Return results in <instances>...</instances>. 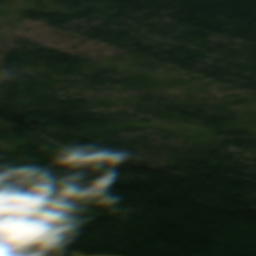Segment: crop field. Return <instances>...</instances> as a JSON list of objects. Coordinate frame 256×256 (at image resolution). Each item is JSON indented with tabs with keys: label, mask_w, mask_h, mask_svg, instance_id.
I'll return each instance as SVG.
<instances>
[{
	"label": "crop field",
	"mask_w": 256,
	"mask_h": 256,
	"mask_svg": "<svg viewBox=\"0 0 256 256\" xmlns=\"http://www.w3.org/2000/svg\"><path fill=\"white\" fill-rule=\"evenodd\" d=\"M23 227L0 222V244L17 246L22 240Z\"/></svg>",
	"instance_id": "8a807250"
},
{
	"label": "crop field",
	"mask_w": 256,
	"mask_h": 256,
	"mask_svg": "<svg viewBox=\"0 0 256 256\" xmlns=\"http://www.w3.org/2000/svg\"><path fill=\"white\" fill-rule=\"evenodd\" d=\"M11 256H37V255L33 254L30 251H25V250L15 248Z\"/></svg>",
	"instance_id": "ac0d7876"
},
{
	"label": "crop field",
	"mask_w": 256,
	"mask_h": 256,
	"mask_svg": "<svg viewBox=\"0 0 256 256\" xmlns=\"http://www.w3.org/2000/svg\"><path fill=\"white\" fill-rule=\"evenodd\" d=\"M11 253H12V250L0 247V256H10Z\"/></svg>",
	"instance_id": "34b2d1b8"
},
{
	"label": "crop field",
	"mask_w": 256,
	"mask_h": 256,
	"mask_svg": "<svg viewBox=\"0 0 256 256\" xmlns=\"http://www.w3.org/2000/svg\"><path fill=\"white\" fill-rule=\"evenodd\" d=\"M71 256H84V255L77 252H72ZM94 256H112V255H94Z\"/></svg>",
	"instance_id": "412701ff"
}]
</instances>
